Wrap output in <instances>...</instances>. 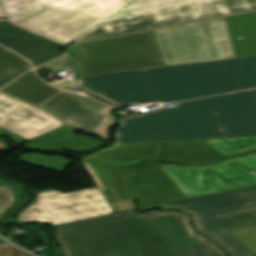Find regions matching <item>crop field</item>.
I'll return each instance as SVG.
<instances>
[{
  "mask_svg": "<svg viewBox=\"0 0 256 256\" xmlns=\"http://www.w3.org/2000/svg\"><path fill=\"white\" fill-rule=\"evenodd\" d=\"M114 216L142 256H182L141 215L127 211Z\"/></svg>",
  "mask_w": 256,
  "mask_h": 256,
  "instance_id": "16",
  "label": "crop field"
},
{
  "mask_svg": "<svg viewBox=\"0 0 256 256\" xmlns=\"http://www.w3.org/2000/svg\"><path fill=\"white\" fill-rule=\"evenodd\" d=\"M37 201L22 211L19 223L40 221L51 226L113 213L97 187L63 194L39 191Z\"/></svg>",
  "mask_w": 256,
  "mask_h": 256,
  "instance_id": "11",
  "label": "crop field"
},
{
  "mask_svg": "<svg viewBox=\"0 0 256 256\" xmlns=\"http://www.w3.org/2000/svg\"><path fill=\"white\" fill-rule=\"evenodd\" d=\"M39 107L53 114L67 125L87 131L108 140L107 129L114 118L109 115L112 107L93 99L60 91Z\"/></svg>",
  "mask_w": 256,
  "mask_h": 256,
  "instance_id": "12",
  "label": "crop field"
},
{
  "mask_svg": "<svg viewBox=\"0 0 256 256\" xmlns=\"http://www.w3.org/2000/svg\"><path fill=\"white\" fill-rule=\"evenodd\" d=\"M192 213L198 232L220 243L231 256H255L225 231L256 222V184L161 204Z\"/></svg>",
  "mask_w": 256,
  "mask_h": 256,
  "instance_id": "6",
  "label": "crop field"
},
{
  "mask_svg": "<svg viewBox=\"0 0 256 256\" xmlns=\"http://www.w3.org/2000/svg\"><path fill=\"white\" fill-rule=\"evenodd\" d=\"M256 10V0H134L72 42Z\"/></svg>",
  "mask_w": 256,
  "mask_h": 256,
  "instance_id": "4",
  "label": "crop field"
},
{
  "mask_svg": "<svg viewBox=\"0 0 256 256\" xmlns=\"http://www.w3.org/2000/svg\"><path fill=\"white\" fill-rule=\"evenodd\" d=\"M152 32L164 65L235 57L224 18Z\"/></svg>",
  "mask_w": 256,
  "mask_h": 256,
  "instance_id": "8",
  "label": "crop field"
},
{
  "mask_svg": "<svg viewBox=\"0 0 256 256\" xmlns=\"http://www.w3.org/2000/svg\"><path fill=\"white\" fill-rule=\"evenodd\" d=\"M141 215L183 256H226L215 243L194 233L185 214L155 210Z\"/></svg>",
  "mask_w": 256,
  "mask_h": 256,
  "instance_id": "14",
  "label": "crop field"
},
{
  "mask_svg": "<svg viewBox=\"0 0 256 256\" xmlns=\"http://www.w3.org/2000/svg\"><path fill=\"white\" fill-rule=\"evenodd\" d=\"M19 156L22 163L30 164L59 173H61L64 167L71 162L56 156L50 158L35 153L19 154Z\"/></svg>",
  "mask_w": 256,
  "mask_h": 256,
  "instance_id": "22",
  "label": "crop field"
},
{
  "mask_svg": "<svg viewBox=\"0 0 256 256\" xmlns=\"http://www.w3.org/2000/svg\"><path fill=\"white\" fill-rule=\"evenodd\" d=\"M81 161L108 203L131 198L127 193L126 175L120 170L112 165H98L83 159ZM113 178L120 183L114 184L111 180Z\"/></svg>",
  "mask_w": 256,
  "mask_h": 256,
  "instance_id": "18",
  "label": "crop field"
},
{
  "mask_svg": "<svg viewBox=\"0 0 256 256\" xmlns=\"http://www.w3.org/2000/svg\"><path fill=\"white\" fill-rule=\"evenodd\" d=\"M14 190L0 184V213L13 202Z\"/></svg>",
  "mask_w": 256,
  "mask_h": 256,
  "instance_id": "24",
  "label": "crop field"
},
{
  "mask_svg": "<svg viewBox=\"0 0 256 256\" xmlns=\"http://www.w3.org/2000/svg\"><path fill=\"white\" fill-rule=\"evenodd\" d=\"M54 86L59 88V89H62L64 87H67L69 89L76 88L74 80L73 81H69V82L60 83V84H57V85H54Z\"/></svg>",
  "mask_w": 256,
  "mask_h": 256,
  "instance_id": "27",
  "label": "crop field"
},
{
  "mask_svg": "<svg viewBox=\"0 0 256 256\" xmlns=\"http://www.w3.org/2000/svg\"><path fill=\"white\" fill-rule=\"evenodd\" d=\"M1 184L6 185L10 188H13L15 190V194H14V203L9 206L6 210H4L1 214H0V221H3V217L4 215L10 211L11 209H13L15 206H17L19 204V197L18 194L21 191L19 187H17L16 185L9 183L7 181L1 180Z\"/></svg>",
  "mask_w": 256,
  "mask_h": 256,
  "instance_id": "26",
  "label": "crop field"
},
{
  "mask_svg": "<svg viewBox=\"0 0 256 256\" xmlns=\"http://www.w3.org/2000/svg\"><path fill=\"white\" fill-rule=\"evenodd\" d=\"M132 0H0L8 20L66 44Z\"/></svg>",
  "mask_w": 256,
  "mask_h": 256,
  "instance_id": "5",
  "label": "crop field"
},
{
  "mask_svg": "<svg viewBox=\"0 0 256 256\" xmlns=\"http://www.w3.org/2000/svg\"><path fill=\"white\" fill-rule=\"evenodd\" d=\"M0 256H31V255L4 242V243H0Z\"/></svg>",
  "mask_w": 256,
  "mask_h": 256,
  "instance_id": "25",
  "label": "crop field"
},
{
  "mask_svg": "<svg viewBox=\"0 0 256 256\" xmlns=\"http://www.w3.org/2000/svg\"><path fill=\"white\" fill-rule=\"evenodd\" d=\"M1 91L36 105L59 92L42 82L33 71L28 72Z\"/></svg>",
  "mask_w": 256,
  "mask_h": 256,
  "instance_id": "20",
  "label": "crop field"
},
{
  "mask_svg": "<svg viewBox=\"0 0 256 256\" xmlns=\"http://www.w3.org/2000/svg\"><path fill=\"white\" fill-rule=\"evenodd\" d=\"M116 143L256 136V90L180 102L120 119Z\"/></svg>",
  "mask_w": 256,
  "mask_h": 256,
  "instance_id": "2",
  "label": "crop field"
},
{
  "mask_svg": "<svg viewBox=\"0 0 256 256\" xmlns=\"http://www.w3.org/2000/svg\"><path fill=\"white\" fill-rule=\"evenodd\" d=\"M0 17H5V15L0 10Z\"/></svg>",
  "mask_w": 256,
  "mask_h": 256,
  "instance_id": "28",
  "label": "crop field"
},
{
  "mask_svg": "<svg viewBox=\"0 0 256 256\" xmlns=\"http://www.w3.org/2000/svg\"><path fill=\"white\" fill-rule=\"evenodd\" d=\"M74 130L64 126L43 137L40 136L41 138L28 142L27 145L30 148L42 150L65 149L70 152H85L103 144V142L95 138L75 135L73 133Z\"/></svg>",
  "mask_w": 256,
  "mask_h": 256,
  "instance_id": "17",
  "label": "crop field"
},
{
  "mask_svg": "<svg viewBox=\"0 0 256 256\" xmlns=\"http://www.w3.org/2000/svg\"><path fill=\"white\" fill-rule=\"evenodd\" d=\"M54 228L65 256H141L113 214Z\"/></svg>",
  "mask_w": 256,
  "mask_h": 256,
  "instance_id": "10",
  "label": "crop field"
},
{
  "mask_svg": "<svg viewBox=\"0 0 256 256\" xmlns=\"http://www.w3.org/2000/svg\"><path fill=\"white\" fill-rule=\"evenodd\" d=\"M203 141L224 157L256 150V137ZM158 165L186 198L256 183V153L206 167Z\"/></svg>",
  "mask_w": 256,
  "mask_h": 256,
  "instance_id": "7",
  "label": "crop field"
},
{
  "mask_svg": "<svg viewBox=\"0 0 256 256\" xmlns=\"http://www.w3.org/2000/svg\"><path fill=\"white\" fill-rule=\"evenodd\" d=\"M77 81L118 106L172 103L256 88V56L119 71Z\"/></svg>",
  "mask_w": 256,
  "mask_h": 256,
  "instance_id": "1",
  "label": "crop field"
},
{
  "mask_svg": "<svg viewBox=\"0 0 256 256\" xmlns=\"http://www.w3.org/2000/svg\"><path fill=\"white\" fill-rule=\"evenodd\" d=\"M3 146H5V145L0 142V148L3 147Z\"/></svg>",
  "mask_w": 256,
  "mask_h": 256,
  "instance_id": "29",
  "label": "crop field"
},
{
  "mask_svg": "<svg viewBox=\"0 0 256 256\" xmlns=\"http://www.w3.org/2000/svg\"><path fill=\"white\" fill-rule=\"evenodd\" d=\"M227 233L256 255V223L227 231Z\"/></svg>",
  "mask_w": 256,
  "mask_h": 256,
  "instance_id": "23",
  "label": "crop field"
},
{
  "mask_svg": "<svg viewBox=\"0 0 256 256\" xmlns=\"http://www.w3.org/2000/svg\"><path fill=\"white\" fill-rule=\"evenodd\" d=\"M0 44L25 57L34 67L64 53L57 50L62 45L26 32L7 21L0 22Z\"/></svg>",
  "mask_w": 256,
  "mask_h": 256,
  "instance_id": "15",
  "label": "crop field"
},
{
  "mask_svg": "<svg viewBox=\"0 0 256 256\" xmlns=\"http://www.w3.org/2000/svg\"><path fill=\"white\" fill-rule=\"evenodd\" d=\"M62 125L41 109L0 93V133L17 145Z\"/></svg>",
  "mask_w": 256,
  "mask_h": 256,
  "instance_id": "13",
  "label": "crop field"
},
{
  "mask_svg": "<svg viewBox=\"0 0 256 256\" xmlns=\"http://www.w3.org/2000/svg\"><path fill=\"white\" fill-rule=\"evenodd\" d=\"M31 69L30 64L16 53L0 47V87Z\"/></svg>",
  "mask_w": 256,
  "mask_h": 256,
  "instance_id": "21",
  "label": "crop field"
},
{
  "mask_svg": "<svg viewBox=\"0 0 256 256\" xmlns=\"http://www.w3.org/2000/svg\"><path fill=\"white\" fill-rule=\"evenodd\" d=\"M219 153L200 139L116 144L87 157L90 161L114 163L130 175L131 194L142 210L160 207V203L184 199L155 162L210 164L222 159Z\"/></svg>",
  "mask_w": 256,
  "mask_h": 256,
  "instance_id": "3",
  "label": "crop field"
},
{
  "mask_svg": "<svg viewBox=\"0 0 256 256\" xmlns=\"http://www.w3.org/2000/svg\"><path fill=\"white\" fill-rule=\"evenodd\" d=\"M77 79L119 70L164 66L152 32L78 43Z\"/></svg>",
  "mask_w": 256,
  "mask_h": 256,
  "instance_id": "9",
  "label": "crop field"
},
{
  "mask_svg": "<svg viewBox=\"0 0 256 256\" xmlns=\"http://www.w3.org/2000/svg\"><path fill=\"white\" fill-rule=\"evenodd\" d=\"M237 57L256 55V12L226 17Z\"/></svg>",
  "mask_w": 256,
  "mask_h": 256,
  "instance_id": "19",
  "label": "crop field"
}]
</instances>
